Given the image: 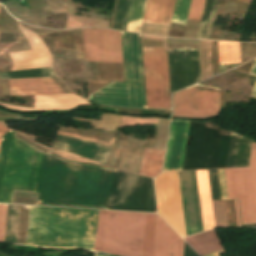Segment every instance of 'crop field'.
<instances>
[{
	"label": "crop field",
	"mask_w": 256,
	"mask_h": 256,
	"mask_svg": "<svg viewBox=\"0 0 256 256\" xmlns=\"http://www.w3.org/2000/svg\"><path fill=\"white\" fill-rule=\"evenodd\" d=\"M83 99V98H82ZM79 96L74 94H59V95H41L36 96L35 108H21L16 106H9L1 104L8 109L16 111H31V110H62L70 109L80 105H91Z\"/></svg>",
	"instance_id": "733c2abd"
},
{
	"label": "crop field",
	"mask_w": 256,
	"mask_h": 256,
	"mask_svg": "<svg viewBox=\"0 0 256 256\" xmlns=\"http://www.w3.org/2000/svg\"><path fill=\"white\" fill-rule=\"evenodd\" d=\"M147 108H171L167 49H142Z\"/></svg>",
	"instance_id": "dd49c442"
},
{
	"label": "crop field",
	"mask_w": 256,
	"mask_h": 256,
	"mask_svg": "<svg viewBox=\"0 0 256 256\" xmlns=\"http://www.w3.org/2000/svg\"><path fill=\"white\" fill-rule=\"evenodd\" d=\"M159 214L181 235L185 225L177 172L163 173L155 180Z\"/></svg>",
	"instance_id": "5a996713"
},
{
	"label": "crop field",
	"mask_w": 256,
	"mask_h": 256,
	"mask_svg": "<svg viewBox=\"0 0 256 256\" xmlns=\"http://www.w3.org/2000/svg\"><path fill=\"white\" fill-rule=\"evenodd\" d=\"M125 82H113L90 96L112 106L146 108L140 35L121 32Z\"/></svg>",
	"instance_id": "412701ff"
},
{
	"label": "crop field",
	"mask_w": 256,
	"mask_h": 256,
	"mask_svg": "<svg viewBox=\"0 0 256 256\" xmlns=\"http://www.w3.org/2000/svg\"><path fill=\"white\" fill-rule=\"evenodd\" d=\"M175 122L186 123V126L185 124H180V123H176V126H175ZM189 124H190V121L172 120L163 171L181 170L186 141H187V135L189 130ZM174 126H175V132H174ZM184 126H185V132H184ZM173 132H174V139H173ZM183 132H184V137H183ZM182 137H183V143H182ZM172 139H173V146H172V152H171ZM181 143H182V148H181ZM180 148H181V154H180ZM170 152H171V159H170ZM179 154H180V159H179ZM169 159H170V165H169ZM178 159H179V165H178ZM168 165H169V168L177 167L178 165V168L168 169Z\"/></svg>",
	"instance_id": "d9b57169"
},
{
	"label": "crop field",
	"mask_w": 256,
	"mask_h": 256,
	"mask_svg": "<svg viewBox=\"0 0 256 256\" xmlns=\"http://www.w3.org/2000/svg\"><path fill=\"white\" fill-rule=\"evenodd\" d=\"M220 64L240 63L239 43L218 41Z\"/></svg>",
	"instance_id": "dafd665d"
},
{
	"label": "crop field",
	"mask_w": 256,
	"mask_h": 256,
	"mask_svg": "<svg viewBox=\"0 0 256 256\" xmlns=\"http://www.w3.org/2000/svg\"><path fill=\"white\" fill-rule=\"evenodd\" d=\"M184 240L200 255L223 249L214 230L186 237Z\"/></svg>",
	"instance_id": "214f88e0"
},
{
	"label": "crop field",
	"mask_w": 256,
	"mask_h": 256,
	"mask_svg": "<svg viewBox=\"0 0 256 256\" xmlns=\"http://www.w3.org/2000/svg\"><path fill=\"white\" fill-rule=\"evenodd\" d=\"M204 230L215 228L207 170L196 171Z\"/></svg>",
	"instance_id": "4a817a6b"
},
{
	"label": "crop field",
	"mask_w": 256,
	"mask_h": 256,
	"mask_svg": "<svg viewBox=\"0 0 256 256\" xmlns=\"http://www.w3.org/2000/svg\"><path fill=\"white\" fill-rule=\"evenodd\" d=\"M222 200L228 199L223 169L217 170Z\"/></svg>",
	"instance_id": "5866460e"
},
{
	"label": "crop field",
	"mask_w": 256,
	"mask_h": 256,
	"mask_svg": "<svg viewBox=\"0 0 256 256\" xmlns=\"http://www.w3.org/2000/svg\"><path fill=\"white\" fill-rule=\"evenodd\" d=\"M234 204H235V211H236V217H237V224H238V227H240L237 200L234 201Z\"/></svg>",
	"instance_id": "0bd39190"
},
{
	"label": "crop field",
	"mask_w": 256,
	"mask_h": 256,
	"mask_svg": "<svg viewBox=\"0 0 256 256\" xmlns=\"http://www.w3.org/2000/svg\"><path fill=\"white\" fill-rule=\"evenodd\" d=\"M8 204H0V241H4Z\"/></svg>",
	"instance_id": "d32e631a"
},
{
	"label": "crop field",
	"mask_w": 256,
	"mask_h": 256,
	"mask_svg": "<svg viewBox=\"0 0 256 256\" xmlns=\"http://www.w3.org/2000/svg\"><path fill=\"white\" fill-rule=\"evenodd\" d=\"M229 135L191 122L182 170L225 167Z\"/></svg>",
	"instance_id": "f4fd0767"
},
{
	"label": "crop field",
	"mask_w": 256,
	"mask_h": 256,
	"mask_svg": "<svg viewBox=\"0 0 256 256\" xmlns=\"http://www.w3.org/2000/svg\"><path fill=\"white\" fill-rule=\"evenodd\" d=\"M115 171L49 152L37 204L106 209ZM107 209L156 212L152 179L117 170Z\"/></svg>",
	"instance_id": "ac0d7876"
},
{
	"label": "crop field",
	"mask_w": 256,
	"mask_h": 256,
	"mask_svg": "<svg viewBox=\"0 0 256 256\" xmlns=\"http://www.w3.org/2000/svg\"><path fill=\"white\" fill-rule=\"evenodd\" d=\"M250 74L256 75V59L254 60L253 67H252V70H251ZM252 96L256 97V84H255Z\"/></svg>",
	"instance_id": "e1f06a70"
},
{
	"label": "crop field",
	"mask_w": 256,
	"mask_h": 256,
	"mask_svg": "<svg viewBox=\"0 0 256 256\" xmlns=\"http://www.w3.org/2000/svg\"><path fill=\"white\" fill-rule=\"evenodd\" d=\"M239 135L232 132L226 167H234Z\"/></svg>",
	"instance_id": "bd1437ed"
},
{
	"label": "crop field",
	"mask_w": 256,
	"mask_h": 256,
	"mask_svg": "<svg viewBox=\"0 0 256 256\" xmlns=\"http://www.w3.org/2000/svg\"><path fill=\"white\" fill-rule=\"evenodd\" d=\"M57 76L51 67L32 70L7 71L0 73V79L22 78V77H44Z\"/></svg>",
	"instance_id": "00972430"
},
{
	"label": "crop field",
	"mask_w": 256,
	"mask_h": 256,
	"mask_svg": "<svg viewBox=\"0 0 256 256\" xmlns=\"http://www.w3.org/2000/svg\"><path fill=\"white\" fill-rule=\"evenodd\" d=\"M85 60L122 63L120 32L82 29Z\"/></svg>",
	"instance_id": "3316defc"
},
{
	"label": "crop field",
	"mask_w": 256,
	"mask_h": 256,
	"mask_svg": "<svg viewBox=\"0 0 256 256\" xmlns=\"http://www.w3.org/2000/svg\"><path fill=\"white\" fill-rule=\"evenodd\" d=\"M184 256H198V255L185 243Z\"/></svg>",
	"instance_id": "028f5c9d"
},
{
	"label": "crop field",
	"mask_w": 256,
	"mask_h": 256,
	"mask_svg": "<svg viewBox=\"0 0 256 256\" xmlns=\"http://www.w3.org/2000/svg\"><path fill=\"white\" fill-rule=\"evenodd\" d=\"M15 135L9 130L0 142V202H11L14 190L25 191L36 150ZM46 157L36 150L26 191L39 192Z\"/></svg>",
	"instance_id": "34b2d1b8"
},
{
	"label": "crop field",
	"mask_w": 256,
	"mask_h": 256,
	"mask_svg": "<svg viewBox=\"0 0 256 256\" xmlns=\"http://www.w3.org/2000/svg\"><path fill=\"white\" fill-rule=\"evenodd\" d=\"M55 146L92 160L105 163L113 146L58 135Z\"/></svg>",
	"instance_id": "cbeb9de0"
},
{
	"label": "crop field",
	"mask_w": 256,
	"mask_h": 256,
	"mask_svg": "<svg viewBox=\"0 0 256 256\" xmlns=\"http://www.w3.org/2000/svg\"><path fill=\"white\" fill-rule=\"evenodd\" d=\"M171 93L201 81L199 51L168 52Z\"/></svg>",
	"instance_id": "28ad6ade"
},
{
	"label": "crop field",
	"mask_w": 256,
	"mask_h": 256,
	"mask_svg": "<svg viewBox=\"0 0 256 256\" xmlns=\"http://www.w3.org/2000/svg\"><path fill=\"white\" fill-rule=\"evenodd\" d=\"M33 50L10 53L14 65L11 70L31 69L51 66V56L42 41L34 34L18 25Z\"/></svg>",
	"instance_id": "d1516ede"
},
{
	"label": "crop field",
	"mask_w": 256,
	"mask_h": 256,
	"mask_svg": "<svg viewBox=\"0 0 256 256\" xmlns=\"http://www.w3.org/2000/svg\"><path fill=\"white\" fill-rule=\"evenodd\" d=\"M173 115L206 117L220 112L218 90L194 85L173 95Z\"/></svg>",
	"instance_id": "d8731c3e"
},
{
	"label": "crop field",
	"mask_w": 256,
	"mask_h": 256,
	"mask_svg": "<svg viewBox=\"0 0 256 256\" xmlns=\"http://www.w3.org/2000/svg\"><path fill=\"white\" fill-rule=\"evenodd\" d=\"M132 0H119L113 29L126 31Z\"/></svg>",
	"instance_id": "4177f3b9"
},
{
	"label": "crop field",
	"mask_w": 256,
	"mask_h": 256,
	"mask_svg": "<svg viewBox=\"0 0 256 256\" xmlns=\"http://www.w3.org/2000/svg\"><path fill=\"white\" fill-rule=\"evenodd\" d=\"M212 200H221L216 170H208Z\"/></svg>",
	"instance_id": "1d83c4d3"
},
{
	"label": "crop field",
	"mask_w": 256,
	"mask_h": 256,
	"mask_svg": "<svg viewBox=\"0 0 256 256\" xmlns=\"http://www.w3.org/2000/svg\"><path fill=\"white\" fill-rule=\"evenodd\" d=\"M229 199H239L242 225L256 224V144L249 168L224 169Z\"/></svg>",
	"instance_id": "e52e79f7"
},
{
	"label": "crop field",
	"mask_w": 256,
	"mask_h": 256,
	"mask_svg": "<svg viewBox=\"0 0 256 256\" xmlns=\"http://www.w3.org/2000/svg\"><path fill=\"white\" fill-rule=\"evenodd\" d=\"M8 129H6L1 123H0V137L7 131Z\"/></svg>",
	"instance_id": "b80d0937"
},
{
	"label": "crop field",
	"mask_w": 256,
	"mask_h": 256,
	"mask_svg": "<svg viewBox=\"0 0 256 256\" xmlns=\"http://www.w3.org/2000/svg\"><path fill=\"white\" fill-rule=\"evenodd\" d=\"M214 0H205L197 38L206 39Z\"/></svg>",
	"instance_id": "eef30255"
},
{
	"label": "crop field",
	"mask_w": 256,
	"mask_h": 256,
	"mask_svg": "<svg viewBox=\"0 0 256 256\" xmlns=\"http://www.w3.org/2000/svg\"><path fill=\"white\" fill-rule=\"evenodd\" d=\"M224 251H225V250L219 251V252H216V253H213V254H209V255H206V256H218L217 254L222 253V252H224Z\"/></svg>",
	"instance_id": "c035e120"
},
{
	"label": "crop field",
	"mask_w": 256,
	"mask_h": 256,
	"mask_svg": "<svg viewBox=\"0 0 256 256\" xmlns=\"http://www.w3.org/2000/svg\"><path fill=\"white\" fill-rule=\"evenodd\" d=\"M98 210L30 206L27 244L95 251ZM155 214L99 210L96 251L151 256Z\"/></svg>",
	"instance_id": "8a807250"
},
{
	"label": "crop field",
	"mask_w": 256,
	"mask_h": 256,
	"mask_svg": "<svg viewBox=\"0 0 256 256\" xmlns=\"http://www.w3.org/2000/svg\"><path fill=\"white\" fill-rule=\"evenodd\" d=\"M183 246L184 241L156 215L153 256H183Z\"/></svg>",
	"instance_id": "22f410ed"
},
{
	"label": "crop field",
	"mask_w": 256,
	"mask_h": 256,
	"mask_svg": "<svg viewBox=\"0 0 256 256\" xmlns=\"http://www.w3.org/2000/svg\"><path fill=\"white\" fill-rule=\"evenodd\" d=\"M146 0H133L127 31L139 33Z\"/></svg>",
	"instance_id": "a9b5d70f"
},
{
	"label": "crop field",
	"mask_w": 256,
	"mask_h": 256,
	"mask_svg": "<svg viewBox=\"0 0 256 256\" xmlns=\"http://www.w3.org/2000/svg\"><path fill=\"white\" fill-rule=\"evenodd\" d=\"M175 0H147L143 22L170 25Z\"/></svg>",
	"instance_id": "bc2a9ffb"
},
{
	"label": "crop field",
	"mask_w": 256,
	"mask_h": 256,
	"mask_svg": "<svg viewBox=\"0 0 256 256\" xmlns=\"http://www.w3.org/2000/svg\"><path fill=\"white\" fill-rule=\"evenodd\" d=\"M203 2L204 0H192L188 19L200 21Z\"/></svg>",
	"instance_id": "120bbe31"
},
{
	"label": "crop field",
	"mask_w": 256,
	"mask_h": 256,
	"mask_svg": "<svg viewBox=\"0 0 256 256\" xmlns=\"http://www.w3.org/2000/svg\"><path fill=\"white\" fill-rule=\"evenodd\" d=\"M251 140L240 135L235 167L247 166Z\"/></svg>",
	"instance_id": "ae1a2a85"
},
{
	"label": "crop field",
	"mask_w": 256,
	"mask_h": 256,
	"mask_svg": "<svg viewBox=\"0 0 256 256\" xmlns=\"http://www.w3.org/2000/svg\"><path fill=\"white\" fill-rule=\"evenodd\" d=\"M212 203L216 228L228 227L224 201Z\"/></svg>",
	"instance_id": "750c4746"
},
{
	"label": "crop field",
	"mask_w": 256,
	"mask_h": 256,
	"mask_svg": "<svg viewBox=\"0 0 256 256\" xmlns=\"http://www.w3.org/2000/svg\"><path fill=\"white\" fill-rule=\"evenodd\" d=\"M190 1L191 0L176 1L172 22L186 25L189 7H190Z\"/></svg>",
	"instance_id": "d3111659"
},
{
	"label": "crop field",
	"mask_w": 256,
	"mask_h": 256,
	"mask_svg": "<svg viewBox=\"0 0 256 256\" xmlns=\"http://www.w3.org/2000/svg\"><path fill=\"white\" fill-rule=\"evenodd\" d=\"M95 256H107V255L96 254Z\"/></svg>",
	"instance_id": "c21b1889"
},
{
	"label": "crop field",
	"mask_w": 256,
	"mask_h": 256,
	"mask_svg": "<svg viewBox=\"0 0 256 256\" xmlns=\"http://www.w3.org/2000/svg\"><path fill=\"white\" fill-rule=\"evenodd\" d=\"M8 82L11 96L64 93L59 84L51 77L9 79ZM52 83H54V85H52Z\"/></svg>",
	"instance_id": "5142ce71"
},
{
	"label": "crop field",
	"mask_w": 256,
	"mask_h": 256,
	"mask_svg": "<svg viewBox=\"0 0 256 256\" xmlns=\"http://www.w3.org/2000/svg\"><path fill=\"white\" fill-rule=\"evenodd\" d=\"M164 150L145 149L140 174L156 177L162 167Z\"/></svg>",
	"instance_id": "92a150f3"
},
{
	"label": "crop field",
	"mask_w": 256,
	"mask_h": 256,
	"mask_svg": "<svg viewBox=\"0 0 256 256\" xmlns=\"http://www.w3.org/2000/svg\"><path fill=\"white\" fill-rule=\"evenodd\" d=\"M120 117L121 116H119V115L103 113L101 121L80 119V118H73V119L74 120H83V121H92L95 129L116 130L119 125Z\"/></svg>",
	"instance_id": "730fd06b"
}]
</instances>
